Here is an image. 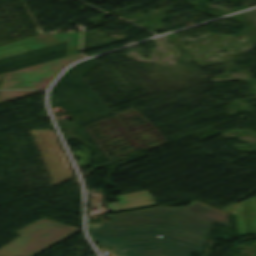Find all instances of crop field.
<instances>
[{
	"label": "crop field",
	"instance_id": "obj_1",
	"mask_svg": "<svg viewBox=\"0 0 256 256\" xmlns=\"http://www.w3.org/2000/svg\"><path fill=\"white\" fill-rule=\"evenodd\" d=\"M99 247L112 246L110 256H189L200 252L204 239L164 226L89 233ZM157 235H162L160 238Z\"/></svg>",
	"mask_w": 256,
	"mask_h": 256
},
{
	"label": "crop field",
	"instance_id": "obj_2",
	"mask_svg": "<svg viewBox=\"0 0 256 256\" xmlns=\"http://www.w3.org/2000/svg\"><path fill=\"white\" fill-rule=\"evenodd\" d=\"M156 208H164V207H156ZM156 208H150V209H144V210H150V211H166V212H176L188 217H192L197 219L196 221L188 219V218H184L181 217L175 213H158V212H142V210H138V211H132V212H126V213H138V214H161V215H174L177 216L179 218L184 219V221L179 220L177 218L174 217H161V216H138V215H126V213H120V214H114L111 217V221H107V222H100V223H93V224H88L87 225V230L88 231H92V230H102V229H112V228H122V227H132V226H139V225H127V224H114V222H121V223H133V224H140V225H149V224H160V225H167V226H171V227H175L187 232H191L203 237H206L213 222L215 223H219V224H223L226 226H229V222L227 220V215L228 213L216 209L214 207L205 205L203 203H200L198 201H194L191 202L188 206H186L184 209H179L181 211H185V212H189L191 214L197 215L199 217L205 218L207 220H210L212 222L197 218V217H193L187 214H184L180 211H172V210H162V209H156ZM167 209H175V208H167ZM115 216H129V217H156V218H170V220H161V219H143V218H125V217H115ZM162 221L165 222H169L184 228H188V229H184L169 223H162Z\"/></svg>",
	"mask_w": 256,
	"mask_h": 256
},
{
	"label": "crop field",
	"instance_id": "obj_3",
	"mask_svg": "<svg viewBox=\"0 0 256 256\" xmlns=\"http://www.w3.org/2000/svg\"><path fill=\"white\" fill-rule=\"evenodd\" d=\"M78 231L42 219L17 231L21 236L2 247L0 253L7 256H33Z\"/></svg>",
	"mask_w": 256,
	"mask_h": 256
},
{
	"label": "crop field",
	"instance_id": "obj_4",
	"mask_svg": "<svg viewBox=\"0 0 256 256\" xmlns=\"http://www.w3.org/2000/svg\"><path fill=\"white\" fill-rule=\"evenodd\" d=\"M83 58L79 53L26 69L10 72L0 88H45L50 80L68 63Z\"/></svg>",
	"mask_w": 256,
	"mask_h": 256
},
{
	"label": "crop field",
	"instance_id": "obj_5",
	"mask_svg": "<svg viewBox=\"0 0 256 256\" xmlns=\"http://www.w3.org/2000/svg\"><path fill=\"white\" fill-rule=\"evenodd\" d=\"M53 184L72 179L66 161L51 130H30Z\"/></svg>",
	"mask_w": 256,
	"mask_h": 256
},
{
	"label": "crop field",
	"instance_id": "obj_6",
	"mask_svg": "<svg viewBox=\"0 0 256 256\" xmlns=\"http://www.w3.org/2000/svg\"><path fill=\"white\" fill-rule=\"evenodd\" d=\"M65 41L68 42L67 56L79 52L80 33L41 35L20 39L0 46V59Z\"/></svg>",
	"mask_w": 256,
	"mask_h": 256
},
{
	"label": "crop field",
	"instance_id": "obj_7",
	"mask_svg": "<svg viewBox=\"0 0 256 256\" xmlns=\"http://www.w3.org/2000/svg\"><path fill=\"white\" fill-rule=\"evenodd\" d=\"M118 202L107 203L111 212L156 205L147 191L116 196Z\"/></svg>",
	"mask_w": 256,
	"mask_h": 256
},
{
	"label": "crop field",
	"instance_id": "obj_8",
	"mask_svg": "<svg viewBox=\"0 0 256 256\" xmlns=\"http://www.w3.org/2000/svg\"><path fill=\"white\" fill-rule=\"evenodd\" d=\"M42 90H0V103Z\"/></svg>",
	"mask_w": 256,
	"mask_h": 256
},
{
	"label": "crop field",
	"instance_id": "obj_9",
	"mask_svg": "<svg viewBox=\"0 0 256 256\" xmlns=\"http://www.w3.org/2000/svg\"><path fill=\"white\" fill-rule=\"evenodd\" d=\"M0 256H3V255H0Z\"/></svg>",
	"mask_w": 256,
	"mask_h": 256
}]
</instances>
